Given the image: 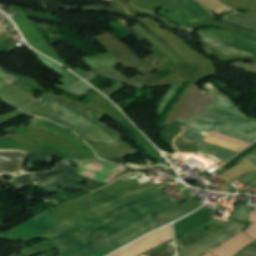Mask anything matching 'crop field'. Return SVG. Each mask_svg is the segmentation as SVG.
I'll return each mask as SVG.
<instances>
[{"mask_svg":"<svg viewBox=\"0 0 256 256\" xmlns=\"http://www.w3.org/2000/svg\"><path fill=\"white\" fill-rule=\"evenodd\" d=\"M217 100L213 108L205 116H202L192 123L197 124L188 127L186 137L193 138L196 143L204 144V133H208L215 124H217L213 130L234 137L249 144L256 141V120L249 119L243 116L240 111L233 105V103L224 95L218 94ZM191 125V124H190ZM211 130L208 139L224 144L239 151L245 149L249 144L228 137L221 133ZM250 131V134L246 132ZM206 139V145L200 150V152L207 154L211 157L227 162L234 157L239 151L223 146L216 142Z\"/></svg>","mask_w":256,"mask_h":256,"instance_id":"8a807250","label":"crop field"},{"mask_svg":"<svg viewBox=\"0 0 256 256\" xmlns=\"http://www.w3.org/2000/svg\"><path fill=\"white\" fill-rule=\"evenodd\" d=\"M47 104L45 105V103ZM65 126L79 134L94 150L124 144L121 135L99 122L102 115L50 97L41 106L29 112Z\"/></svg>","mask_w":256,"mask_h":256,"instance_id":"ac0d7876","label":"crop field"},{"mask_svg":"<svg viewBox=\"0 0 256 256\" xmlns=\"http://www.w3.org/2000/svg\"><path fill=\"white\" fill-rule=\"evenodd\" d=\"M161 191V189L155 184L153 186L138 190V191H134L131 193H128L124 196H120L117 197L111 201L106 202L105 204L87 211L83 214H80L64 223H62L61 225H59V222L54 220L50 214L47 212L46 214L26 223L21 225L20 227H18L17 229L7 233V234H3L0 235V239H16V240H28V239H32L35 238V236L40 235L48 230V232L37 236L40 238H47V239H51L54 236L86 221L89 220L95 216H98L102 213H105L121 204L124 203H128L131 202L137 198L155 193Z\"/></svg>","mask_w":256,"mask_h":256,"instance_id":"34b2d1b8","label":"crop field"},{"mask_svg":"<svg viewBox=\"0 0 256 256\" xmlns=\"http://www.w3.org/2000/svg\"><path fill=\"white\" fill-rule=\"evenodd\" d=\"M176 205H178L177 202L172 203L169 199H161L156 202H153V203H150V204H147V205L135 208V209L124 211V212L120 213L119 215H117L112 220H110L109 222L90 229L89 231L91 233H89V234L81 233L67 242H63V243H59V244L51 245L49 247L42 248V249L35 251L26 256H33V255H35L45 249L51 248L53 246H55L61 250L60 256H69L83 248H86L92 244L99 242V241H94V236L97 234L104 236L101 238L103 240V239L133 225L134 223L140 221L141 219L151 216L150 212L152 210L154 212H156L157 214H159V213H161L169 208H172Z\"/></svg>","mask_w":256,"mask_h":256,"instance_id":"412701ff","label":"crop field"},{"mask_svg":"<svg viewBox=\"0 0 256 256\" xmlns=\"http://www.w3.org/2000/svg\"><path fill=\"white\" fill-rule=\"evenodd\" d=\"M21 16L14 18L15 23L21 29L26 40L42 53L56 59L63 65L74 70L56 52L49 41L32 25L22 8L13 7Z\"/></svg>","mask_w":256,"mask_h":256,"instance_id":"f4fd0767","label":"crop field"},{"mask_svg":"<svg viewBox=\"0 0 256 256\" xmlns=\"http://www.w3.org/2000/svg\"><path fill=\"white\" fill-rule=\"evenodd\" d=\"M164 195H166V193L161 191V192H158V193H155V194L137 199V200H135L131 203L121 205V206H119V207H117V208H115V209H113V210H111V211H109L105 214H102L98 217H95V218L89 220V221H86V222L74 227L73 229H71V230H69V231L51 239V240L39 243V244L34 245V246H40V245L62 242V241L74 236L75 234H77V233H79V232H81V231H83V230H85L89 227H93V226H96V225H99V224L105 222L106 220L110 219L111 217H113L114 215H116L117 213H119L123 210H126V209H129V208L144 204V203L152 201V200H155V199H157L161 196H164Z\"/></svg>","mask_w":256,"mask_h":256,"instance_id":"dd49c442","label":"crop field"},{"mask_svg":"<svg viewBox=\"0 0 256 256\" xmlns=\"http://www.w3.org/2000/svg\"><path fill=\"white\" fill-rule=\"evenodd\" d=\"M230 223L232 226H230ZM233 224L236 226L233 227ZM243 227V224L230 221L228 225L221 231L214 233L209 238L202 240L184 251H182L178 256H202L206 252L222 245L223 243L230 240L235 236Z\"/></svg>","mask_w":256,"mask_h":256,"instance_id":"e52e79f7","label":"crop field"},{"mask_svg":"<svg viewBox=\"0 0 256 256\" xmlns=\"http://www.w3.org/2000/svg\"><path fill=\"white\" fill-rule=\"evenodd\" d=\"M78 173L92 180L111 182L116 175L125 171L126 168L114 163L102 161H77Z\"/></svg>","mask_w":256,"mask_h":256,"instance_id":"d8731c3e","label":"crop field"},{"mask_svg":"<svg viewBox=\"0 0 256 256\" xmlns=\"http://www.w3.org/2000/svg\"><path fill=\"white\" fill-rule=\"evenodd\" d=\"M173 239L172 228L168 226L138 242L126 247L112 256H139L151 248Z\"/></svg>","mask_w":256,"mask_h":256,"instance_id":"5a996713","label":"crop field"},{"mask_svg":"<svg viewBox=\"0 0 256 256\" xmlns=\"http://www.w3.org/2000/svg\"><path fill=\"white\" fill-rule=\"evenodd\" d=\"M159 227L157 222L152 218H146L133 226L127 228L126 230L119 232L111 237H109L113 242H115L119 247L147 234L151 230Z\"/></svg>","mask_w":256,"mask_h":256,"instance_id":"3316defc","label":"crop field"},{"mask_svg":"<svg viewBox=\"0 0 256 256\" xmlns=\"http://www.w3.org/2000/svg\"><path fill=\"white\" fill-rule=\"evenodd\" d=\"M0 96L18 109L35 101L32 94H30L23 85L17 82L1 90Z\"/></svg>","mask_w":256,"mask_h":256,"instance_id":"28ad6ade","label":"crop field"},{"mask_svg":"<svg viewBox=\"0 0 256 256\" xmlns=\"http://www.w3.org/2000/svg\"><path fill=\"white\" fill-rule=\"evenodd\" d=\"M205 34H208L216 39H219L223 42H226L230 45H233L237 48H240L244 51H247L251 54H255L256 55V43L240 38L236 35H233L229 32L226 31H222L219 29H215V28H206L203 30H199Z\"/></svg>","mask_w":256,"mask_h":256,"instance_id":"d1516ede","label":"crop field"},{"mask_svg":"<svg viewBox=\"0 0 256 256\" xmlns=\"http://www.w3.org/2000/svg\"><path fill=\"white\" fill-rule=\"evenodd\" d=\"M89 193L90 192H88V191H82L80 193L75 192L73 194H70V191H69L67 193H65V192L61 193L53 198L40 199L41 201L46 202V204L35 206L34 218L53 209L54 206L71 202V201H73L79 197H82L84 195H87Z\"/></svg>","mask_w":256,"mask_h":256,"instance_id":"22f410ed","label":"crop field"},{"mask_svg":"<svg viewBox=\"0 0 256 256\" xmlns=\"http://www.w3.org/2000/svg\"><path fill=\"white\" fill-rule=\"evenodd\" d=\"M251 241H253L251 238L240 232L225 245L219 247L211 253L215 254L216 256H233L236 252L241 250Z\"/></svg>","mask_w":256,"mask_h":256,"instance_id":"cbeb9de0","label":"crop field"},{"mask_svg":"<svg viewBox=\"0 0 256 256\" xmlns=\"http://www.w3.org/2000/svg\"><path fill=\"white\" fill-rule=\"evenodd\" d=\"M33 53L46 66H48L49 68H51L52 70H54L55 72H57L58 74H60L61 76L64 77L56 85H54V87L66 91L75 81L78 80V78L76 76H74L73 74H71L70 72L65 70L60 65L54 63L53 61H51V60L41 56L40 54H38V53H36L34 51H33Z\"/></svg>","mask_w":256,"mask_h":256,"instance_id":"5142ce71","label":"crop field"},{"mask_svg":"<svg viewBox=\"0 0 256 256\" xmlns=\"http://www.w3.org/2000/svg\"><path fill=\"white\" fill-rule=\"evenodd\" d=\"M75 177V176H74ZM71 175L61 173L44 181L37 183L42 188H55L65 184L67 189H79L83 185Z\"/></svg>","mask_w":256,"mask_h":256,"instance_id":"d9b57169","label":"crop field"},{"mask_svg":"<svg viewBox=\"0 0 256 256\" xmlns=\"http://www.w3.org/2000/svg\"><path fill=\"white\" fill-rule=\"evenodd\" d=\"M39 129L44 130L49 133H52L54 135H57L65 140L75 144L82 152H87V151L92 150L88 145H86L85 143H82L79 138H74L73 136L75 134H73L72 132H70L67 129L58 127L52 123H48V124L40 127Z\"/></svg>","mask_w":256,"mask_h":256,"instance_id":"733c2abd","label":"crop field"},{"mask_svg":"<svg viewBox=\"0 0 256 256\" xmlns=\"http://www.w3.org/2000/svg\"><path fill=\"white\" fill-rule=\"evenodd\" d=\"M96 73L101 74L107 78L113 79L115 81L124 82L139 90L146 86L135 76L131 79L126 78L123 71H117L115 66L96 69Z\"/></svg>","mask_w":256,"mask_h":256,"instance_id":"4a817a6b","label":"crop field"},{"mask_svg":"<svg viewBox=\"0 0 256 256\" xmlns=\"http://www.w3.org/2000/svg\"><path fill=\"white\" fill-rule=\"evenodd\" d=\"M198 34L202 40V43H204L205 45H207L213 49H216L226 55H251L247 52H244L240 49H237L233 46H230L226 43L216 40L210 36H207L199 31H198Z\"/></svg>","mask_w":256,"mask_h":256,"instance_id":"bc2a9ffb","label":"crop field"},{"mask_svg":"<svg viewBox=\"0 0 256 256\" xmlns=\"http://www.w3.org/2000/svg\"><path fill=\"white\" fill-rule=\"evenodd\" d=\"M117 248L119 247L107 238L104 241L83 249L71 256H105Z\"/></svg>","mask_w":256,"mask_h":256,"instance_id":"214f88e0","label":"crop field"},{"mask_svg":"<svg viewBox=\"0 0 256 256\" xmlns=\"http://www.w3.org/2000/svg\"><path fill=\"white\" fill-rule=\"evenodd\" d=\"M180 5H182L185 9L202 19L203 21H208L214 16L211 12L200 6L194 0H175Z\"/></svg>","mask_w":256,"mask_h":256,"instance_id":"92a150f3","label":"crop field"},{"mask_svg":"<svg viewBox=\"0 0 256 256\" xmlns=\"http://www.w3.org/2000/svg\"><path fill=\"white\" fill-rule=\"evenodd\" d=\"M135 33H137L139 35V37L142 40H145V38H143L134 28H132ZM152 43V42H151ZM159 58H161L164 63L166 65H168L170 68H172L175 72H177L179 75H181L182 77H184L185 79H187L188 81L196 84L197 82H199L200 80L192 77L191 75H189L188 73H186L185 71H183L181 68H179L178 66L174 65L157 47L153 46L150 48Z\"/></svg>","mask_w":256,"mask_h":256,"instance_id":"dafd665d","label":"crop field"},{"mask_svg":"<svg viewBox=\"0 0 256 256\" xmlns=\"http://www.w3.org/2000/svg\"><path fill=\"white\" fill-rule=\"evenodd\" d=\"M189 214L184 208H182L180 205L177 207H174L170 210H167L158 216L154 217L158 223L163 226L173 220H176L182 216H185Z\"/></svg>","mask_w":256,"mask_h":256,"instance_id":"00972430","label":"crop field"},{"mask_svg":"<svg viewBox=\"0 0 256 256\" xmlns=\"http://www.w3.org/2000/svg\"><path fill=\"white\" fill-rule=\"evenodd\" d=\"M217 23H219V24H221L223 26L235 29V30L246 32L248 34L245 36V38L250 39V40L256 42V29H253V28H250V27L238 24L236 22H233V21H230V20H227V19H224V18L219 20Z\"/></svg>","mask_w":256,"mask_h":256,"instance_id":"a9b5d70f","label":"crop field"},{"mask_svg":"<svg viewBox=\"0 0 256 256\" xmlns=\"http://www.w3.org/2000/svg\"><path fill=\"white\" fill-rule=\"evenodd\" d=\"M171 15L182 21L183 23L191 26L194 24L202 23L198 18H196L194 15H192L190 12L186 11L185 9L179 7L175 10H172L170 12Z\"/></svg>","mask_w":256,"mask_h":256,"instance_id":"4177f3b9","label":"crop field"},{"mask_svg":"<svg viewBox=\"0 0 256 256\" xmlns=\"http://www.w3.org/2000/svg\"><path fill=\"white\" fill-rule=\"evenodd\" d=\"M33 24L46 36L47 39H49L52 42V44L64 41V38L59 33L57 28L51 27V26H48L45 24H35V23H33ZM55 32H58L60 35L55 36V34H54Z\"/></svg>","mask_w":256,"mask_h":256,"instance_id":"730fd06b","label":"crop field"},{"mask_svg":"<svg viewBox=\"0 0 256 256\" xmlns=\"http://www.w3.org/2000/svg\"><path fill=\"white\" fill-rule=\"evenodd\" d=\"M228 19L256 28V17L251 15L237 14L235 16L228 17Z\"/></svg>","mask_w":256,"mask_h":256,"instance_id":"eef30255","label":"crop field"},{"mask_svg":"<svg viewBox=\"0 0 256 256\" xmlns=\"http://www.w3.org/2000/svg\"><path fill=\"white\" fill-rule=\"evenodd\" d=\"M28 17L31 18H36V19H41V20H46V21H52V22H57V23H62L59 19L52 17L51 15L39 11H35L32 9L24 8ZM63 24V23H62Z\"/></svg>","mask_w":256,"mask_h":256,"instance_id":"ae1a2a85","label":"crop field"},{"mask_svg":"<svg viewBox=\"0 0 256 256\" xmlns=\"http://www.w3.org/2000/svg\"><path fill=\"white\" fill-rule=\"evenodd\" d=\"M93 89L91 86H89L88 84L84 83L83 81H81L80 79L73 84L68 91L76 94V95H80V96H84L86 94L87 91Z\"/></svg>","mask_w":256,"mask_h":256,"instance_id":"d3111659","label":"crop field"},{"mask_svg":"<svg viewBox=\"0 0 256 256\" xmlns=\"http://www.w3.org/2000/svg\"><path fill=\"white\" fill-rule=\"evenodd\" d=\"M240 214V216H238ZM232 219L246 221V204L235 205Z\"/></svg>","mask_w":256,"mask_h":256,"instance_id":"750c4746","label":"crop field"},{"mask_svg":"<svg viewBox=\"0 0 256 256\" xmlns=\"http://www.w3.org/2000/svg\"><path fill=\"white\" fill-rule=\"evenodd\" d=\"M180 86H181V84L173 85L172 88L169 90V92L166 94V96L163 99V101L166 100V102L164 103L162 101V103L160 105V109H159V115L161 114L164 107L167 105V103L170 101V99L173 97V95L176 93V91L179 89Z\"/></svg>","mask_w":256,"mask_h":256,"instance_id":"bd1437ed","label":"crop field"},{"mask_svg":"<svg viewBox=\"0 0 256 256\" xmlns=\"http://www.w3.org/2000/svg\"><path fill=\"white\" fill-rule=\"evenodd\" d=\"M98 58L102 64V66H109V65H117L119 64L116 62L110 54H105V55H98Z\"/></svg>","mask_w":256,"mask_h":256,"instance_id":"1d83c4d3","label":"crop field"},{"mask_svg":"<svg viewBox=\"0 0 256 256\" xmlns=\"http://www.w3.org/2000/svg\"><path fill=\"white\" fill-rule=\"evenodd\" d=\"M241 256H256V244L252 243L238 252Z\"/></svg>","mask_w":256,"mask_h":256,"instance_id":"120bbe31","label":"crop field"},{"mask_svg":"<svg viewBox=\"0 0 256 256\" xmlns=\"http://www.w3.org/2000/svg\"><path fill=\"white\" fill-rule=\"evenodd\" d=\"M86 66L90 68L101 67L97 57H84Z\"/></svg>","mask_w":256,"mask_h":256,"instance_id":"d32e631a","label":"crop field"},{"mask_svg":"<svg viewBox=\"0 0 256 256\" xmlns=\"http://www.w3.org/2000/svg\"><path fill=\"white\" fill-rule=\"evenodd\" d=\"M48 97H44L42 96L39 100L33 102L32 104H30L29 106H26L20 110L24 111V112H29L31 111L32 109L38 107L40 104H42Z\"/></svg>","mask_w":256,"mask_h":256,"instance_id":"5866460e","label":"crop field"},{"mask_svg":"<svg viewBox=\"0 0 256 256\" xmlns=\"http://www.w3.org/2000/svg\"><path fill=\"white\" fill-rule=\"evenodd\" d=\"M21 114H23V113H21V112L15 110V111L10 112V113H8V114L1 115V116H0V123H1V122H5V121H8V120H10V119H12V118H14V117H16V116H18V115H21Z\"/></svg>","mask_w":256,"mask_h":256,"instance_id":"028f5c9d","label":"crop field"},{"mask_svg":"<svg viewBox=\"0 0 256 256\" xmlns=\"http://www.w3.org/2000/svg\"><path fill=\"white\" fill-rule=\"evenodd\" d=\"M244 232L255 239L256 238V223H252L251 226Z\"/></svg>","mask_w":256,"mask_h":256,"instance_id":"e1f06a70","label":"crop field"},{"mask_svg":"<svg viewBox=\"0 0 256 256\" xmlns=\"http://www.w3.org/2000/svg\"><path fill=\"white\" fill-rule=\"evenodd\" d=\"M158 13H160V14H162V15L168 17V18H169L173 23H175V24H178V25H181V26L185 25V24H183L182 22H180V21H178L177 19H175V18H174L173 16H171L170 14L164 12L162 9L159 10Z\"/></svg>","mask_w":256,"mask_h":256,"instance_id":"0bd39190","label":"crop field"},{"mask_svg":"<svg viewBox=\"0 0 256 256\" xmlns=\"http://www.w3.org/2000/svg\"><path fill=\"white\" fill-rule=\"evenodd\" d=\"M248 179H246V180H244V181H242V182H244V183H246V184H249V183H252V182H256V173H253V174H251V175H248V176H246Z\"/></svg>","mask_w":256,"mask_h":256,"instance_id":"b80d0937","label":"crop field"},{"mask_svg":"<svg viewBox=\"0 0 256 256\" xmlns=\"http://www.w3.org/2000/svg\"><path fill=\"white\" fill-rule=\"evenodd\" d=\"M3 32H5L4 30H3V28H2V26H1V24H0V34H2ZM10 36H8L7 34H6V32L5 33H3L2 35H0V43H2L3 41H5L7 38H9Z\"/></svg>","mask_w":256,"mask_h":256,"instance_id":"c035e120","label":"crop field"},{"mask_svg":"<svg viewBox=\"0 0 256 256\" xmlns=\"http://www.w3.org/2000/svg\"><path fill=\"white\" fill-rule=\"evenodd\" d=\"M91 73H92V75H90L89 72H88V73H86L83 77H84L86 80L90 81V80L94 79V78L97 76V74H95V73H93V72H91Z\"/></svg>","mask_w":256,"mask_h":256,"instance_id":"c21b1889","label":"crop field"},{"mask_svg":"<svg viewBox=\"0 0 256 256\" xmlns=\"http://www.w3.org/2000/svg\"><path fill=\"white\" fill-rule=\"evenodd\" d=\"M246 158H248L250 161H252L254 164H256V151Z\"/></svg>","mask_w":256,"mask_h":256,"instance_id":"03da06ac","label":"crop field"},{"mask_svg":"<svg viewBox=\"0 0 256 256\" xmlns=\"http://www.w3.org/2000/svg\"><path fill=\"white\" fill-rule=\"evenodd\" d=\"M124 158H125V156L124 157H120V158H115V159H108V160L116 161V162H119L121 164H124Z\"/></svg>","mask_w":256,"mask_h":256,"instance_id":"b54c1fbb","label":"crop field"},{"mask_svg":"<svg viewBox=\"0 0 256 256\" xmlns=\"http://www.w3.org/2000/svg\"><path fill=\"white\" fill-rule=\"evenodd\" d=\"M8 85H10V84H8V83H7L6 81H4L3 79H0V89L6 87V86H8Z\"/></svg>","mask_w":256,"mask_h":256,"instance_id":"5d738f31","label":"crop field"},{"mask_svg":"<svg viewBox=\"0 0 256 256\" xmlns=\"http://www.w3.org/2000/svg\"><path fill=\"white\" fill-rule=\"evenodd\" d=\"M256 205V203H255ZM249 221L256 222V213L250 214Z\"/></svg>","mask_w":256,"mask_h":256,"instance_id":"d23c7cc5","label":"crop field"},{"mask_svg":"<svg viewBox=\"0 0 256 256\" xmlns=\"http://www.w3.org/2000/svg\"><path fill=\"white\" fill-rule=\"evenodd\" d=\"M42 247H45V246H42ZM39 248H41V247H36V248L30 249V250L26 251L25 253H23V254H21V255H19V256L26 255V254H28V253H30V252L36 250V249H39Z\"/></svg>","mask_w":256,"mask_h":256,"instance_id":"425ffa30","label":"crop field"},{"mask_svg":"<svg viewBox=\"0 0 256 256\" xmlns=\"http://www.w3.org/2000/svg\"><path fill=\"white\" fill-rule=\"evenodd\" d=\"M155 57H156V56L153 55V56H151V57L145 59L144 61H142V62H140V63H141V65H142V64H144V63L150 61L151 59L155 58Z\"/></svg>","mask_w":256,"mask_h":256,"instance_id":"25e5ab78","label":"crop field"},{"mask_svg":"<svg viewBox=\"0 0 256 256\" xmlns=\"http://www.w3.org/2000/svg\"><path fill=\"white\" fill-rule=\"evenodd\" d=\"M167 68H169V67H167L166 65H164V66L158 68L157 71H158V73H159V72H161V71H163V70H165V69H167Z\"/></svg>","mask_w":256,"mask_h":256,"instance_id":"73cf0c24","label":"crop field"},{"mask_svg":"<svg viewBox=\"0 0 256 256\" xmlns=\"http://www.w3.org/2000/svg\"><path fill=\"white\" fill-rule=\"evenodd\" d=\"M206 256H213V255L209 253V254H207Z\"/></svg>","mask_w":256,"mask_h":256,"instance_id":"89e229c0","label":"crop field"},{"mask_svg":"<svg viewBox=\"0 0 256 256\" xmlns=\"http://www.w3.org/2000/svg\"><path fill=\"white\" fill-rule=\"evenodd\" d=\"M251 185V184H250ZM253 185H255L256 186V183H253Z\"/></svg>","mask_w":256,"mask_h":256,"instance_id":"1f2cbd36","label":"crop field"},{"mask_svg":"<svg viewBox=\"0 0 256 256\" xmlns=\"http://www.w3.org/2000/svg\"><path fill=\"white\" fill-rule=\"evenodd\" d=\"M15 128V127H14ZM10 130V129H9Z\"/></svg>","mask_w":256,"mask_h":256,"instance_id":"dbb93151","label":"crop field"}]
</instances>
